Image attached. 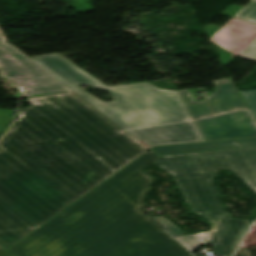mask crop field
I'll list each match as a JSON object with an SVG mask.
<instances>
[{
    "label": "crop field",
    "instance_id": "8a807250",
    "mask_svg": "<svg viewBox=\"0 0 256 256\" xmlns=\"http://www.w3.org/2000/svg\"><path fill=\"white\" fill-rule=\"evenodd\" d=\"M26 100L0 172L57 214L149 150L73 92Z\"/></svg>",
    "mask_w": 256,
    "mask_h": 256
},
{
    "label": "crop field",
    "instance_id": "ac0d7876",
    "mask_svg": "<svg viewBox=\"0 0 256 256\" xmlns=\"http://www.w3.org/2000/svg\"><path fill=\"white\" fill-rule=\"evenodd\" d=\"M151 151L25 238L16 256H107L133 238L162 231L135 206L155 181L142 171ZM146 207V206H145Z\"/></svg>",
    "mask_w": 256,
    "mask_h": 256
},
{
    "label": "crop field",
    "instance_id": "34b2d1b8",
    "mask_svg": "<svg viewBox=\"0 0 256 256\" xmlns=\"http://www.w3.org/2000/svg\"><path fill=\"white\" fill-rule=\"evenodd\" d=\"M31 60L149 149L204 141L178 91L149 82L107 88L57 54ZM81 85L108 91L115 101H100Z\"/></svg>",
    "mask_w": 256,
    "mask_h": 256
},
{
    "label": "crop field",
    "instance_id": "412701ff",
    "mask_svg": "<svg viewBox=\"0 0 256 256\" xmlns=\"http://www.w3.org/2000/svg\"><path fill=\"white\" fill-rule=\"evenodd\" d=\"M155 164L173 175L192 212L210 223L226 213L212 182L216 169L233 171L256 193V149L165 156Z\"/></svg>",
    "mask_w": 256,
    "mask_h": 256
},
{
    "label": "crop field",
    "instance_id": "f4fd0767",
    "mask_svg": "<svg viewBox=\"0 0 256 256\" xmlns=\"http://www.w3.org/2000/svg\"><path fill=\"white\" fill-rule=\"evenodd\" d=\"M0 71L25 96L71 91L9 44L0 31Z\"/></svg>",
    "mask_w": 256,
    "mask_h": 256
},
{
    "label": "crop field",
    "instance_id": "dd49c442",
    "mask_svg": "<svg viewBox=\"0 0 256 256\" xmlns=\"http://www.w3.org/2000/svg\"><path fill=\"white\" fill-rule=\"evenodd\" d=\"M249 223L250 220L234 219L229 214H224L219 221L212 224L211 231L183 237L180 236L176 239L192 252L199 245L212 244L216 255L229 256Z\"/></svg>",
    "mask_w": 256,
    "mask_h": 256
},
{
    "label": "crop field",
    "instance_id": "e52e79f7",
    "mask_svg": "<svg viewBox=\"0 0 256 256\" xmlns=\"http://www.w3.org/2000/svg\"><path fill=\"white\" fill-rule=\"evenodd\" d=\"M195 122L205 141L256 136V126L244 110Z\"/></svg>",
    "mask_w": 256,
    "mask_h": 256
},
{
    "label": "crop field",
    "instance_id": "d8731c3e",
    "mask_svg": "<svg viewBox=\"0 0 256 256\" xmlns=\"http://www.w3.org/2000/svg\"><path fill=\"white\" fill-rule=\"evenodd\" d=\"M0 198L39 227L57 215L1 173Z\"/></svg>",
    "mask_w": 256,
    "mask_h": 256
},
{
    "label": "crop field",
    "instance_id": "5a996713",
    "mask_svg": "<svg viewBox=\"0 0 256 256\" xmlns=\"http://www.w3.org/2000/svg\"><path fill=\"white\" fill-rule=\"evenodd\" d=\"M109 256H191L164 231L133 239Z\"/></svg>",
    "mask_w": 256,
    "mask_h": 256
},
{
    "label": "crop field",
    "instance_id": "3316defc",
    "mask_svg": "<svg viewBox=\"0 0 256 256\" xmlns=\"http://www.w3.org/2000/svg\"><path fill=\"white\" fill-rule=\"evenodd\" d=\"M37 228L0 199V244L6 250Z\"/></svg>",
    "mask_w": 256,
    "mask_h": 256
},
{
    "label": "crop field",
    "instance_id": "28ad6ade",
    "mask_svg": "<svg viewBox=\"0 0 256 256\" xmlns=\"http://www.w3.org/2000/svg\"><path fill=\"white\" fill-rule=\"evenodd\" d=\"M256 148V139L155 147L158 156Z\"/></svg>",
    "mask_w": 256,
    "mask_h": 256
},
{
    "label": "crop field",
    "instance_id": "d1516ede",
    "mask_svg": "<svg viewBox=\"0 0 256 256\" xmlns=\"http://www.w3.org/2000/svg\"><path fill=\"white\" fill-rule=\"evenodd\" d=\"M214 82L218 88V91L210 94V98L207 100L216 115L239 109H246L230 78L217 80Z\"/></svg>",
    "mask_w": 256,
    "mask_h": 256
},
{
    "label": "crop field",
    "instance_id": "22f410ed",
    "mask_svg": "<svg viewBox=\"0 0 256 256\" xmlns=\"http://www.w3.org/2000/svg\"><path fill=\"white\" fill-rule=\"evenodd\" d=\"M179 93L183 98L193 120L213 115L206 101L194 102L188 90H181Z\"/></svg>",
    "mask_w": 256,
    "mask_h": 256
},
{
    "label": "crop field",
    "instance_id": "cbeb9de0",
    "mask_svg": "<svg viewBox=\"0 0 256 256\" xmlns=\"http://www.w3.org/2000/svg\"><path fill=\"white\" fill-rule=\"evenodd\" d=\"M235 16L240 19L256 23V0H251V3H249L247 6H245Z\"/></svg>",
    "mask_w": 256,
    "mask_h": 256
},
{
    "label": "crop field",
    "instance_id": "5142ce71",
    "mask_svg": "<svg viewBox=\"0 0 256 256\" xmlns=\"http://www.w3.org/2000/svg\"><path fill=\"white\" fill-rule=\"evenodd\" d=\"M256 121V90L240 92Z\"/></svg>",
    "mask_w": 256,
    "mask_h": 256
},
{
    "label": "crop field",
    "instance_id": "d9b57169",
    "mask_svg": "<svg viewBox=\"0 0 256 256\" xmlns=\"http://www.w3.org/2000/svg\"><path fill=\"white\" fill-rule=\"evenodd\" d=\"M157 223H159L166 231L172 234L175 238L183 234L180 229H178L174 224H172L167 219L158 216L153 218Z\"/></svg>",
    "mask_w": 256,
    "mask_h": 256
},
{
    "label": "crop field",
    "instance_id": "733c2abd",
    "mask_svg": "<svg viewBox=\"0 0 256 256\" xmlns=\"http://www.w3.org/2000/svg\"><path fill=\"white\" fill-rule=\"evenodd\" d=\"M238 57L256 61V38L238 55Z\"/></svg>",
    "mask_w": 256,
    "mask_h": 256
},
{
    "label": "crop field",
    "instance_id": "4a817a6b",
    "mask_svg": "<svg viewBox=\"0 0 256 256\" xmlns=\"http://www.w3.org/2000/svg\"><path fill=\"white\" fill-rule=\"evenodd\" d=\"M235 256H251V254L248 250L239 248V250Z\"/></svg>",
    "mask_w": 256,
    "mask_h": 256
},
{
    "label": "crop field",
    "instance_id": "bc2a9ffb",
    "mask_svg": "<svg viewBox=\"0 0 256 256\" xmlns=\"http://www.w3.org/2000/svg\"><path fill=\"white\" fill-rule=\"evenodd\" d=\"M6 250L0 245V256H11L5 252Z\"/></svg>",
    "mask_w": 256,
    "mask_h": 256
},
{
    "label": "crop field",
    "instance_id": "214f88e0",
    "mask_svg": "<svg viewBox=\"0 0 256 256\" xmlns=\"http://www.w3.org/2000/svg\"><path fill=\"white\" fill-rule=\"evenodd\" d=\"M2 135H4V134H3V133H0V137H1Z\"/></svg>",
    "mask_w": 256,
    "mask_h": 256
}]
</instances>
